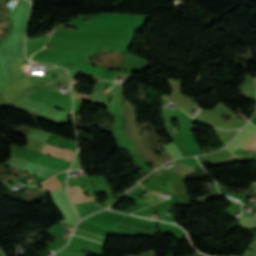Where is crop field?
Instances as JSON below:
<instances>
[{
	"label": "crop field",
	"mask_w": 256,
	"mask_h": 256,
	"mask_svg": "<svg viewBox=\"0 0 256 256\" xmlns=\"http://www.w3.org/2000/svg\"><path fill=\"white\" fill-rule=\"evenodd\" d=\"M163 115H164V118H165V127H166L168 133L170 135L175 133L173 128H172V126H171V123H170V113H169V110L165 109L164 107H163Z\"/></svg>",
	"instance_id": "crop-field-6"
},
{
	"label": "crop field",
	"mask_w": 256,
	"mask_h": 256,
	"mask_svg": "<svg viewBox=\"0 0 256 256\" xmlns=\"http://www.w3.org/2000/svg\"><path fill=\"white\" fill-rule=\"evenodd\" d=\"M44 185H45V189H46L47 192L61 187V184L59 183L56 176L49 179L48 181L44 182Z\"/></svg>",
	"instance_id": "crop-field-5"
},
{
	"label": "crop field",
	"mask_w": 256,
	"mask_h": 256,
	"mask_svg": "<svg viewBox=\"0 0 256 256\" xmlns=\"http://www.w3.org/2000/svg\"><path fill=\"white\" fill-rule=\"evenodd\" d=\"M250 124H247L244 127V129L235 137V139L227 146L229 150L235 151L239 148L245 149L246 146L250 143V141L256 136V127ZM255 140H256V137L247 146L246 150L250 147V145ZM248 150L256 152V141L252 144V146Z\"/></svg>",
	"instance_id": "crop-field-1"
},
{
	"label": "crop field",
	"mask_w": 256,
	"mask_h": 256,
	"mask_svg": "<svg viewBox=\"0 0 256 256\" xmlns=\"http://www.w3.org/2000/svg\"><path fill=\"white\" fill-rule=\"evenodd\" d=\"M251 123L256 125V115L254 116V118L252 119Z\"/></svg>",
	"instance_id": "crop-field-11"
},
{
	"label": "crop field",
	"mask_w": 256,
	"mask_h": 256,
	"mask_svg": "<svg viewBox=\"0 0 256 256\" xmlns=\"http://www.w3.org/2000/svg\"><path fill=\"white\" fill-rule=\"evenodd\" d=\"M68 190H69V192H72V191H82L80 186H78V187H68ZM73 193H79V192H73ZM83 196H84L83 193H80V194H70L71 199L79 198V197H83Z\"/></svg>",
	"instance_id": "crop-field-8"
},
{
	"label": "crop field",
	"mask_w": 256,
	"mask_h": 256,
	"mask_svg": "<svg viewBox=\"0 0 256 256\" xmlns=\"http://www.w3.org/2000/svg\"><path fill=\"white\" fill-rule=\"evenodd\" d=\"M42 153L50 154L66 160H71L73 153L71 151L59 149L50 145L45 144ZM72 161V160H71Z\"/></svg>",
	"instance_id": "crop-field-3"
},
{
	"label": "crop field",
	"mask_w": 256,
	"mask_h": 256,
	"mask_svg": "<svg viewBox=\"0 0 256 256\" xmlns=\"http://www.w3.org/2000/svg\"><path fill=\"white\" fill-rule=\"evenodd\" d=\"M65 113L63 114V116L60 118L59 122H61L62 118L64 117Z\"/></svg>",
	"instance_id": "crop-field-13"
},
{
	"label": "crop field",
	"mask_w": 256,
	"mask_h": 256,
	"mask_svg": "<svg viewBox=\"0 0 256 256\" xmlns=\"http://www.w3.org/2000/svg\"><path fill=\"white\" fill-rule=\"evenodd\" d=\"M92 216L104 218V219L115 221V222H117V221H119L123 218L138 221V222H142V223H146V224H150V225H152L153 222H154L152 220L143 219V218H139V217L128 216V215H124V214H120V213H113V212L108 211V210H104V211L99 212L97 214H94Z\"/></svg>",
	"instance_id": "crop-field-2"
},
{
	"label": "crop field",
	"mask_w": 256,
	"mask_h": 256,
	"mask_svg": "<svg viewBox=\"0 0 256 256\" xmlns=\"http://www.w3.org/2000/svg\"><path fill=\"white\" fill-rule=\"evenodd\" d=\"M247 161H249V160H242V159H239V158L235 157V158L230 159L228 161L223 160V161L215 162V165H225V164H230V163H234V162L244 163V162H247Z\"/></svg>",
	"instance_id": "crop-field-7"
},
{
	"label": "crop field",
	"mask_w": 256,
	"mask_h": 256,
	"mask_svg": "<svg viewBox=\"0 0 256 256\" xmlns=\"http://www.w3.org/2000/svg\"><path fill=\"white\" fill-rule=\"evenodd\" d=\"M73 91V95L75 98H79V99H83V100H88V96L86 95H83V94H80V93H77L75 92L74 89H72ZM104 93H101L99 91H95L93 92L92 96H89V101L90 102H93V103H96V104H99L102 97H103Z\"/></svg>",
	"instance_id": "crop-field-4"
},
{
	"label": "crop field",
	"mask_w": 256,
	"mask_h": 256,
	"mask_svg": "<svg viewBox=\"0 0 256 256\" xmlns=\"http://www.w3.org/2000/svg\"><path fill=\"white\" fill-rule=\"evenodd\" d=\"M50 168H46L41 174H40V176L42 175V174H44L47 170H49ZM48 172V171H47ZM43 176V175H42ZM41 176V177H42Z\"/></svg>",
	"instance_id": "crop-field-12"
},
{
	"label": "crop field",
	"mask_w": 256,
	"mask_h": 256,
	"mask_svg": "<svg viewBox=\"0 0 256 256\" xmlns=\"http://www.w3.org/2000/svg\"><path fill=\"white\" fill-rule=\"evenodd\" d=\"M79 153L80 152H78L77 155H76V158H75V161H74V164H73L72 168H76V169L80 168Z\"/></svg>",
	"instance_id": "crop-field-10"
},
{
	"label": "crop field",
	"mask_w": 256,
	"mask_h": 256,
	"mask_svg": "<svg viewBox=\"0 0 256 256\" xmlns=\"http://www.w3.org/2000/svg\"><path fill=\"white\" fill-rule=\"evenodd\" d=\"M152 194H155V195H157L158 193H155V192H153Z\"/></svg>",
	"instance_id": "crop-field-14"
},
{
	"label": "crop field",
	"mask_w": 256,
	"mask_h": 256,
	"mask_svg": "<svg viewBox=\"0 0 256 256\" xmlns=\"http://www.w3.org/2000/svg\"><path fill=\"white\" fill-rule=\"evenodd\" d=\"M74 102H75L74 112L79 113L81 109V100L74 98Z\"/></svg>",
	"instance_id": "crop-field-9"
}]
</instances>
